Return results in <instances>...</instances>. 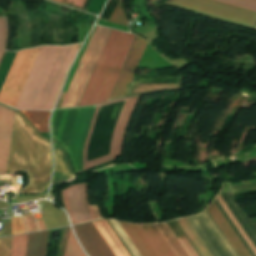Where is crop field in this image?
<instances>
[{"label": "crop field", "instance_id": "5a996713", "mask_svg": "<svg viewBox=\"0 0 256 256\" xmlns=\"http://www.w3.org/2000/svg\"><path fill=\"white\" fill-rule=\"evenodd\" d=\"M140 97L141 96L111 101V102H116V101L127 100V102L124 106V109L121 113V116H120V118L117 122V125L114 129V133H113V137H112V141H111L110 155L86 162L87 146H88V142H89L91 132H92V129H93V125H94V122H95V118H96V115H97V112H98V108L101 105L108 104V103H111V102H107V103L97 105L96 110H95V114H94V117H93V120H92V123H91V127H90V130H89L87 139H86V143H85V146H84V168H83V170L86 169V168L92 167L94 165L100 164L102 162L113 160L115 157L122 155V145H123V138H124V135H125V131H126L128 122L130 120V117H131V115H132Z\"/></svg>", "mask_w": 256, "mask_h": 256}, {"label": "crop field", "instance_id": "1d83c4d3", "mask_svg": "<svg viewBox=\"0 0 256 256\" xmlns=\"http://www.w3.org/2000/svg\"><path fill=\"white\" fill-rule=\"evenodd\" d=\"M90 207H91V209H92V211H93V214H94V216H95L96 219L99 218V217H101L100 214H99V212H98V210H97V206H96V205H93V206H90Z\"/></svg>", "mask_w": 256, "mask_h": 256}, {"label": "crop field", "instance_id": "dd49c442", "mask_svg": "<svg viewBox=\"0 0 256 256\" xmlns=\"http://www.w3.org/2000/svg\"><path fill=\"white\" fill-rule=\"evenodd\" d=\"M40 48L17 52L0 90V102L15 107Z\"/></svg>", "mask_w": 256, "mask_h": 256}, {"label": "crop field", "instance_id": "4177f3b9", "mask_svg": "<svg viewBox=\"0 0 256 256\" xmlns=\"http://www.w3.org/2000/svg\"><path fill=\"white\" fill-rule=\"evenodd\" d=\"M6 36H7L6 21L4 18H0V60L4 53Z\"/></svg>", "mask_w": 256, "mask_h": 256}, {"label": "crop field", "instance_id": "750c4746", "mask_svg": "<svg viewBox=\"0 0 256 256\" xmlns=\"http://www.w3.org/2000/svg\"><path fill=\"white\" fill-rule=\"evenodd\" d=\"M19 181H20V177H11V175H9V176H0V182L12 184L14 186Z\"/></svg>", "mask_w": 256, "mask_h": 256}, {"label": "crop field", "instance_id": "d1516ede", "mask_svg": "<svg viewBox=\"0 0 256 256\" xmlns=\"http://www.w3.org/2000/svg\"><path fill=\"white\" fill-rule=\"evenodd\" d=\"M15 112L0 105V173L6 174Z\"/></svg>", "mask_w": 256, "mask_h": 256}, {"label": "crop field", "instance_id": "733c2abd", "mask_svg": "<svg viewBox=\"0 0 256 256\" xmlns=\"http://www.w3.org/2000/svg\"><path fill=\"white\" fill-rule=\"evenodd\" d=\"M23 113L30 123L39 131V132H49L48 128V117L50 112L42 111H24L18 110Z\"/></svg>", "mask_w": 256, "mask_h": 256}, {"label": "crop field", "instance_id": "22f410ed", "mask_svg": "<svg viewBox=\"0 0 256 256\" xmlns=\"http://www.w3.org/2000/svg\"><path fill=\"white\" fill-rule=\"evenodd\" d=\"M212 204V203H211ZM210 215L213 217L217 225L220 227L224 235L227 237L233 248L236 250L239 256H250L245 247L242 245L234 231L231 229L221 212L216 205L213 204L207 209Z\"/></svg>", "mask_w": 256, "mask_h": 256}, {"label": "crop field", "instance_id": "d8731c3e", "mask_svg": "<svg viewBox=\"0 0 256 256\" xmlns=\"http://www.w3.org/2000/svg\"><path fill=\"white\" fill-rule=\"evenodd\" d=\"M119 223L142 256H175L154 224Z\"/></svg>", "mask_w": 256, "mask_h": 256}, {"label": "crop field", "instance_id": "00972430", "mask_svg": "<svg viewBox=\"0 0 256 256\" xmlns=\"http://www.w3.org/2000/svg\"><path fill=\"white\" fill-rule=\"evenodd\" d=\"M239 7L256 11V0H218Z\"/></svg>", "mask_w": 256, "mask_h": 256}, {"label": "crop field", "instance_id": "4a817a6b", "mask_svg": "<svg viewBox=\"0 0 256 256\" xmlns=\"http://www.w3.org/2000/svg\"><path fill=\"white\" fill-rule=\"evenodd\" d=\"M177 222L182 227L188 238L191 240L197 251L201 256H211L207 248L204 246L200 238L197 236L191 225L188 223L186 218L178 219Z\"/></svg>", "mask_w": 256, "mask_h": 256}, {"label": "crop field", "instance_id": "f4fd0767", "mask_svg": "<svg viewBox=\"0 0 256 256\" xmlns=\"http://www.w3.org/2000/svg\"><path fill=\"white\" fill-rule=\"evenodd\" d=\"M110 30L95 27L60 108L78 105Z\"/></svg>", "mask_w": 256, "mask_h": 256}, {"label": "crop field", "instance_id": "3316defc", "mask_svg": "<svg viewBox=\"0 0 256 256\" xmlns=\"http://www.w3.org/2000/svg\"><path fill=\"white\" fill-rule=\"evenodd\" d=\"M62 193L73 224L95 219L89 207L86 184L69 187Z\"/></svg>", "mask_w": 256, "mask_h": 256}, {"label": "crop field", "instance_id": "cbeb9de0", "mask_svg": "<svg viewBox=\"0 0 256 256\" xmlns=\"http://www.w3.org/2000/svg\"><path fill=\"white\" fill-rule=\"evenodd\" d=\"M53 149L55 159V171L52 184H55L66 181L74 177V175L71 170L67 155L62 147L57 142H53Z\"/></svg>", "mask_w": 256, "mask_h": 256}, {"label": "crop field", "instance_id": "d32e631a", "mask_svg": "<svg viewBox=\"0 0 256 256\" xmlns=\"http://www.w3.org/2000/svg\"><path fill=\"white\" fill-rule=\"evenodd\" d=\"M56 1H59V2H61V3H64V4H65L67 0H56Z\"/></svg>", "mask_w": 256, "mask_h": 256}, {"label": "crop field", "instance_id": "e52e79f7", "mask_svg": "<svg viewBox=\"0 0 256 256\" xmlns=\"http://www.w3.org/2000/svg\"><path fill=\"white\" fill-rule=\"evenodd\" d=\"M167 3L254 27L256 12L214 0H169Z\"/></svg>", "mask_w": 256, "mask_h": 256}, {"label": "crop field", "instance_id": "5142ce71", "mask_svg": "<svg viewBox=\"0 0 256 256\" xmlns=\"http://www.w3.org/2000/svg\"><path fill=\"white\" fill-rule=\"evenodd\" d=\"M93 224L116 256H130L105 219L93 221Z\"/></svg>", "mask_w": 256, "mask_h": 256}, {"label": "crop field", "instance_id": "d9b57169", "mask_svg": "<svg viewBox=\"0 0 256 256\" xmlns=\"http://www.w3.org/2000/svg\"><path fill=\"white\" fill-rule=\"evenodd\" d=\"M48 231L29 234L26 256H45Z\"/></svg>", "mask_w": 256, "mask_h": 256}, {"label": "crop field", "instance_id": "a9b5d70f", "mask_svg": "<svg viewBox=\"0 0 256 256\" xmlns=\"http://www.w3.org/2000/svg\"><path fill=\"white\" fill-rule=\"evenodd\" d=\"M218 200L220 201V203L222 204V206L225 208V210L227 211V213L229 214V216L231 217V219L233 220V222L235 223V225L238 227V229L240 230V232L242 233V235L244 236V238L246 239V241L248 242V244L251 246V248L253 249V251L256 254V248L254 247V245L252 244V242L250 241V239L248 238V236L246 235V233L243 231V229L241 228V226L239 225V223L237 222V220L235 219V217L233 216V214L231 213V211L229 210V208L226 206V204L224 203V201L222 200V198L220 197V195H218Z\"/></svg>", "mask_w": 256, "mask_h": 256}, {"label": "crop field", "instance_id": "730fd06b", "mask_svg": "<svg viewBox=\"0 0 256 256\" xmlns=\"http://www.w3.org/2000/svg\"><path fill=\"white\" fill-rule=\"evenodd\" d=\"M12 237L0 239V256H9Z\"/></svg>", "mask_w": 256, "mask_h": 256}, {"label": "crop field", "instance_id": "ac0d7876", "mask_svg": "<svg viewBox=\"0 0 256 256\" xmlns=\"http://www.w3.org/2000/svg\"><path fill=\"white\" fill-rule=\"evenodd\" d=\"M79 45L43 46L15 108L51 110Z\"/></svg>", "mask_w": 256, "mask_h": 256}, {"label": "crop field", "instance_id": "28ad6ade", "mask_svg": "<svg viewBox=\"0 0 256 256\" xmlns=\"http://www.w3.org/2000/svg\"><path fill=\"white\" fill-rule=\"evenodd\" d=\"M73 228L90 256H114L91 222L76 225Z\"/></svg>", "mask_w": 256, "mask_h": 256}, {"label": "crop field", "instance_id": "d3111659", "mask_svg": "<svg viewBox=\"0 0 256 256\" xmlns=\"http://www.w3.org/2000/svg\"><path fill=\"white\" fill-rule=\"evenodd\" d=\"M28 232L37 231L32 215L24 216Z\"/></svg>", "mask_w": 256, "mask_h": 256}, {"label": "crop field", "instance_id": "8a807250", "mask_svg": "<svg viewBox=\"0 0 256 256\" xmlns=\"http://www.w3.org/2000/svg\"><path fill=\"white\" fill-rule=\"evenodd\" d=\"M134 35L111 30L78 106L105 102L128 53ZM147 43L135 37L107 101L125 96Z\"/></svg>", "mask_w": 256, "mask_h": 256}, {"label": "crop field", "instance_id": "eef30255", "mask_svg": "<svg viewBox=\"0 0 256 256\" xmlns=\"http://www.w3.org/2000/svg\"><path fill=\"white\" fill-rule=\"evenodd\" d=\"M25 232L23 218H12V235Z\"/></svg>", "mask_w": 256, "mask_h": 256}, {"label": "crop field", "instance_id": "412701ff", "mask_svg": "<svg viewBox=\"0 0 256 256\" xmlns=\"http://www.w3.org/2000/svg\"><path fill=\"white\" fill-rule=\"evenodd\" d=\"M94 107L54 109L51 118L52 137L66 149L75 172L82 170L83 146Z\"/></svg>", "mask_w": 256, "mask_h": 256}, {"label": "crop field", "instance_id": "34b2d1b8", "mask_svg": "<svg viewBox=\"0 0 256 256\" xmlns=\"http://www.w3.org/2000/svg\"><path fill=\"white\" fill-rule=\"evenodd\" d=\"M24 170L31 183L19 194L41 193L50 178L51 150L49 140L17 113L8 174Z\"/></svg>", "mask_w": 256, "mask_h": 256}, {"label": "crop field", "instance_id": "214f88e0", "mask_svg": "<svg viewBox=\"0 0 256 256\" xmlns=\"http://www.w3.org/2000/svg\"><path fill=\"white\" fill-rule=\"evenodd\" d=\"M27 237L28 234L13 237L10 256H25Z\"/></svg>", "mask_w": 256, "mask_h": 256}, {"label": "crop field", "instance_id": "bc2a9ffb", "mask_svg": "<svg viewBox=\"0 0 256 256\" xmlns=\"http://www.w3.org/2000/svg\"><path fill=\"white\" fill-rule=\"evenodd\" d=\"M160 231L166 242L169 244L176 256H188L185 250L182 248L176 237L173 235L166 223L155 224Z\"/></svg>", "mask_w": 256, "mask_h": 256}, {"label": "crop field", "instance_id": "120bbe31", "mask_svg": "<svg viewBox=\"0 0 256 256\" xmlns=\"http://www.w3.org/2000/svg\"><path fill=\"white\" fill-rule=\"evenodd\" d=\"M38 224H39V228H40V230L45 229V228H44V224H43V221H42V220H41V221H39V222H38Z\"/></svg>", "mask_w": 256, "mask_h": 256}, {"label": "crop field", "instance_id": "dafd665d", "mask_svg": "<svg viewBox=\"0 0 256 256\" xmlns=\"http://www.w3.org/2000/svg\"><path fill=\"white\" fill-rule=\"evenodd\" d=\"M108 22L127 26V21L123 12L122 0L119 1L116 8L112 12L111 16L108 19Z\"/></svg>", "mask_w": 256, "mask_h": 256}, {"label": "crop field", "instance_id": "bd1437ed", "mask_svg": "<svg viewBox=\"0 0 256 256\" xmlns=\"http://www.w3.org/2000/svg\"><path fill=\"white\" fill-rule=\"evenodd\" d=\"M85 0H68V4L82 8Z\"/></svg>", "mask_w": 256, "mask_h": 256}, {"label": "crop field", "instance_id": "ae1a2a85", "mask_svg": "<svg viewBox=\"0 0 256 256\" xmlns=\"http://www.w3.org/2000/svg\"><path fill=\"white\" fill-rule=\"evenodd\" d=\"M179 242L182 244L186 252L189 254V256H198L197 253L194 251L190 243L187 241L185 236L178 238Z\"/></svg>", "mask_w": 256, "mask_h": 256}, {"label": "crop field", "instance_id": "92a150f3", "mask_svg": "<svg viewBox=\"0 0 256 256\" xmlns=\"http://www.w3.org/2000/svg\"><path fill=\"white\" fill-rule=\"evenodd\" d=\"M64 256H86L81 250L75 236L73 235L69 227V236L67 240V245L65 249Z\"/></svg>", "mask_w": 256, "mask_h": 256}]
</instances>
